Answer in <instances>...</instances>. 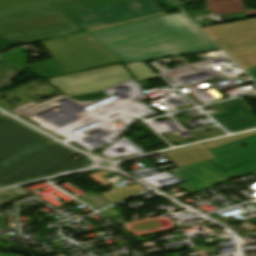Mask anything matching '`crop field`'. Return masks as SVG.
I'll list each match as a JSON object with an SVG mask.
<instances>
[{
  "instance_id": "crop-field-1",
  "label": "crop field",
  "mask_w": 256,
  "mask_h": 256,
  "mask_svg": "<svg viewBox=\"0 0 256 256\" xmlns=\"http://www.w3.org/2000/svg\"><path fill=\"white\" fill-rule=\"evenodd\" d=\"M123 64L217 49L183 14H171L94 33Z\"/></svg>"
},
{
  "instance_id": "crop-field-2",
  "label": "crop field",
  "mask_w": 256,
  "mask_h": 256,
  "mask_svg": "<svg viewBox=\"0 0 256 256\" xmlns=\"http://www.w3.org/2000/svg\"><path fill=\"white\" fill-rule=\"evenodd\" d=\"M28 127L0 114V169L16 161L44 176L90 165L88 159L78 163L77 155Z\"/></svg>"
},
{
  "instance_id": "crop-field-3",
  "label": "crop field",
  "mask_w": 256,
  "mask_h": 256,
  "mask_svg": "<svg viewBox=\"0 0 256 256\" xmlns=\"http://www.w3.org/2000/svg\"><path fill=\"white\" fill-rule=\"evenodd\" d=\"M64 0H0V35L27 44L82 29L50 3Z\"/></svg>"
},
{
  "instance_id": "crop-field-4",
  "label": "crop field",
  "mask_w": 256,
  "mask_h": 256,
  "mask_svg": "<svg viewBox=\"0 0 256 256\" xmlns=\"http://www.w3.org/2000/svg\"><path fill=\"white\" fill-rule=\"evenodd\" d=\"M250 144L244 148L243 145ZM210 152L216 157L214 163L224 169L247 162L256 158V134L245 139L226 144ZM187 184L179 185L182 189L193 194L215 186L233 178H243L256 172V160L244 165L223 170L210 161L169 171Z\"/></svg>"
},
{
  "instance_id": "crop-field-5",
  "label": "crop field",
  "mask_w": 256,
  "mask_h": 256,
  "mask_svg": "<svg viewBox=\"0 0 256 256\" xmlns=\"http://www.w3.org/2000/svg\"><path fill=\"white\" fill-rule=\"evenodd\" d=\"M161 15H165V13L46 40L42 41L41 44L64 74L95 68L120 60L89 37L87 33Z\"/></svg>"
},
{
  "instance_id": "crop-field-6",
  "label": "crop field",
  "mask_w": 256,
  "mask_h": 256,
  "mask_svg": "<svg viewBox=\"0 0 256 256\" xmlns=\"http://www.w3.org/2000/svg\"><path fill=\"white\" fill-rule=\"evenodd\" d=\"M202 30L244 70L256 67V19Z\"/></svg>"
},
{
  "instance_id": "crop-field-7",
  "label": "crop field",
  "mask_w": 256,
  "mask_h": 256,
  "mask_svg": "<svg viewBox=\"0 0 256 256\" xmlns=\"http://www.w3.org/2000/svg\"><path fill=\"white\" fill-rule=\"evenodd\" d=\"M130 79H132L130 73L119 64L47 81L66 96L72 97L104 91Z\"/></svg>"
},
{
  "instance_id": "crop-field-8",
  "label": "crop field",
  "mask_w": 256,
  "mask_h": 256,
  "mask_svg": "<svg viewBox=\"0 0 256 256\" xmlns=\"http://www.w3.org/2000/svg\"><path fill=\"white\" fill-rule=\"evenodd\" d=\"M162 12L153 0H129L69 16L87 30Z\"/></svg>"
},
{
  "instance_id": "crop-field-9",
  "label": "crop field",
  "mask_w": 256,
  "mask_h": 256,
  "mask_svg": "<svg viewBox=\"0 0 256 256\" xmlns=\"http://www.w3.org/2000/svg\"><path fill=\"white\" fill-rule=\"evenodd\" d=\"M255 133L233 137V138L216 141L208 144H203V145L186 148L178 151H173V152L165 153L164 155L173 164L175 168H178V167L213 159L214 156L208 150L229 142L242 139L244 137L250 136Z\"/></svg>"
},
{
  "instance_id": "crop-field-10",
  "label": "crop field",
  "mask_w": 256,
  "mask_h": 256,
  "mask_svg": "<svg viewBox=\"0 0 256 256\" xmlns=\"http://www.w3.org/2000/svg\"><path fill=\"white\" fill-rule=\"evenodd\" d=\"M227 113L212 116L221 125L232 132L251 127H256L255 117H243L241 111L248 108L240 99L219 103Z\"/></svg>"
},
{
  "instance_id": "crop-field-11",
  "label": "crop field",
  "mask_w": 256,
  "mask_h": 256,
  "mask_svg": "<svg viewBox=\"0 0 256 256\" xmlns=\"http://www.w3.org/2000/svg\"><path fill=\"white\" fill-rule=\"evenodd\" d=\"M38 177L42 176L15 162L0 170V186L3 187Z\"/></svg>"
},
{
  "instance_id": "crop-field-12",
  "label": "crop field",
  "mask_w": 256,
  "mask_h": 256,
  "mask_svg": "<svg viewBox=\"0 0 256 256\" xmlns=\"http://www.w3.org/2000/svg\"><path fill=\"white\" fill-rule=\"evenodd\" d=\"M125 0H68L60 3H55L59 9L67 14L83 11L91 8H96L104 5H109Z\"/></svg>"
},
{
  "instance_id": "crop-field-13",
  "label": "crop field",
  "mask_w": 256,
  "mask_h": 256,
  "mask_svg": "<svg viewBox=\"0 0 256 256\" xmlns=\"http://www.w3.org/2000/svg\"><path fill=\"white\" fill-rule=\"evenodd\" d=\"M24 70L6 62L0 67V91L5 89L12 80Z\"/></svg>"
},
{
  "instance_id": "crop-field-14",
  "label": "crop field",
  "mask_w": 256,
  "mask_h": 256,
  "mask_svg": "<svg viewBox=\"0 0 256 256\" xmlns=\"http://www.w3.org/2000/svg\"><path fill=\"white\" fill-rule=\"evenodd\" d=\"M127 66L139 82L157 77L143 62L128 64Z\"/></svg>"
},
{
  "instance_id": "crop-field-15",
  "label": "crop field",
  "mask_w": 256,
  "mask_h": 256,
  "mask_svg": "<svg viewBox=\"0 0 256 256\" xmlns=\"http://www.w3.org/2000/svg\"><path fill=\"white\" fill-rule=\"evenodd\" d=\"M84 203L89 205L91 208L98 210L102 207L112 204L107 199L103 198L99 194L95 193L91 196L81 199Z\"/></svg>"
},
{
  "instance_id": "crop-field-16",
  "label": "crop field",
  "mask_w": 256,
  "mask_h": 256,
  "mask_svg": "<svg viewBox=\"0 0 256 256\" xmlns=\"http://www.w3.org/2000/svg\"><path fill=\"white\" fill-rule=\"evenodd\" d=\"M17 197H19V196H16V195H14V194H12L8 191L2 192V193H0V204L4 203V202H7L9 200H12L14 198H17Z\"/></svg>"
},
{
  "instance_id": "crop-field-17",
  "label": "crop field",
  "mask_w": 256,
  "mask_h": 256,
  "mask_svg": "<svg viewBox=\"0 0 256 256\" xmlns=\"http://www.w3.org/2000/svg\"><path fill=\"white\" fill-rule=\"evenodd\" d=\"M16 42L8 40L6 38L0 37V52L5 50L6 48L12 46Z\"/></svg>"
},
{
  "instance_id": "crop-field-18",
  "label": "crop field",
  "mask_w": 256,
  "mask_h": 256,
  "mask_svg": "<svg viewBox=\"0 0 256 256\" xmlns=\"http://www.w3.org/2000/svg\"><path fill=\"white\" fill-rule=\"evenodd\" d=\"M104 216H106L108 219H113L115 217L118 216H122L120 213H118L117 211H115L114 209L110 208L106 211L101 212Z\"/></svg>"
},
{
  "instance_id": "crop-field-19",
  "label": "crop field",
  "mask_w": 256,
  "mask_h": 256,
  "mask_svg": "<svg viewBox=\"0 0 256 256\" xmlns=\"http://www.w3.org/2000/svg\"><path fill=\"white\" fill-rule=\"evenodd\" d=\"M246 72L256 81V68L246 70Z\"/></svg>"
},
{
  "instance_id": "crop-field-20",
  "label": "crop field",
  "mask_w": 256,
  "mask_h": 256,
  "mask_svg": "<svg viewBox=\"0 0 256 256\" xmlns=\"http://www.w3.org/2000/svg\"><path fill=\"white\" fill-rule=\"evenodd\" d=\"M11 192H13V193H15V194H17V195H19V196H22V195H24V194H27V193H25V192H23V191H21V190H19V189H14V190H10Z\"/></svg>"
},
{
  "instance_id": "crop-field-21",
  "label": "crop field",
  "mask_w": 256,
  "mask_h": 256,
  "mask_svg": "<svg viewBox=\"0 0 256 256\" xmlns=\"http://www.w3.org/2000/svg\"><path fill=\"white\" fill-rule=\"evenodd\" d=\"M249 221H251L252 223L256 224V217L248 219Z\"/></svg>"
},
{
  "instance_id": "crop-field-22",
  "label": "crop field",
  "mask_w": 256,
  "mask_h": 256,
  "mask_svg": "<svg viewBox=\"0 0 256 256\" xmlns=\"http://www.w3.org/2000/svg\"><path fill=\"white\" fill-rule=\"evenodd\" d=\"M0 256H20V255H16V254H6V255H0Z\"/></svg>"
}]
</instances>
